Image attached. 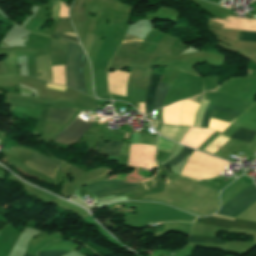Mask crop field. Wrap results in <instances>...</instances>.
I'll list each match as a JSON object with an SVG mask.
<instances>
[{"instance_id": "crop-field-10", "label": "crop field", "mask_w": 256, "mask_h": 256, "mask_svg": "<svg viewBox=\"0 0 256 256\" xmlns=\"http://www.w3.org/2000/svg\"><path fill=\"white\" fill-rule=\"evenodd\" d=\"M121 144L119 142H110V143H105L104 140L100 142V144L95 148L94 151L107 154V155H112V156H117L119 157V152L121 148Z\"/></svg>"}, {"instance_id": "crop-field-3", "label": "crop field", "mask_w": 256, "mask_h": 256, "mask_svg": "<svg viewBox=\"0 0 256 256\" xmlns=\"http://www.w3.org/2000/svg\"><path fill=\"white\" fill-rule=\"evenodd\" d=\"M25 163L27 167L55 179L56 169L62 162L44 157L34 152Z\"/></svg>"}, {"instance_id": "crop-field-5", "label": "crop field", "mask_w": 256, "mask_h": 256, "mask_svg": "<svg viewBox=\"0 0 256 256\" xmlns=\"http://www.w3.org/2000/svg\"><path fill=\"white\" fill-rule=\"evenodd\" d=\"M80 50H81L80 45L69 42V50H68L67 61H66V83L68 86L78 91L79 89H78V83L76 78V64L80 54Z\"/></svg>"}, {"instance_id": "crop-field-6", "label": "crop field", "mask_w": 256, "mask_h": 256, "mask_svg": "<svg viewBox=\"0 0 256 256\" xmlns=\"http://www.w3.org/2000/svg\"><path fill=\"white\" fill-rule=\"evenodd\" d=\"M213 217H219V218L233 220L232 218L221 217V216H216V215H213ZM196 222L202 223V224H207V225H212V226H217V227H222V228H227V229H229L230 226L256 229V223L237 220V219H235L234 221H230V220H224V219H218V218H212V217H205V218H198Z\"/></svg>"}, {"instance_id": "crop-field-14", "label": "crop field", "mask_w": 256, "mask_h": 256, "mask_svg": "<svg viewBox=\"0 0 256 256\" xmlns=\"http://www.w3.org/2000/svg\"><path fill=\"white\" fill-rule=\"evenodd\" d=\"M213 109L233 113V114H236L238 116L241 115V113H238V112H234V111H230V110H226V109L218 108L216 106L209 105L205 114H204V116H203V118H202V126L201 127H204V128L208 127V123H209V120H210Z\"/></svg>"}, {"instance_id": "crop-field-12", "label": "crop field", "mask_w": 256, "mask_h": 256, "mask_svg": "<svg viewBox=\"0 0 256 256\" xmlns=\"http://www.w3.org/2000/svg\"><path fill=\"white\" fill-rule=\"evenodd\" d=\"M170 85L161 83L159 84V88L156 92V99H155V103H154V109L161 107V104L163 102V99L167 93V91L169 90Z\"/></svg>"}, {"instance_id": "crop-field-16", "label": "crop field", "mask_w": 256, "mask_h": 256, "mask_svg": "<svg viewBox=\"0 0 256 256\" xmlns=\"http://www.w3.org/2000/svg\"><path fill=\"white\" fill-rule=\"evenodd\" d=\"M252 132L251 131H246V130H241V129H236L233 128L231 132L228 134V136H232L235 138L243 139V140H249Z\"/></svg>"}, {"instance_id": "crop-field-4", "label": "crop field", "mask_w": 256, "mask_h": 256, "mask_svg": "<svg viewBox=\"0 0 256 256\" xmlns=\"http://www.w3.org/2000/svg\"><path fill=\"white\" fill-rule=\"evenodd\" d=\"M94 122H85L80 118L73 121L63 132L55 139V142L64 144H74L80 136L86 132Z\"/></svg>"}, {"instance_id": "crop-field-17", "label": "crop field", "mask_w": 256, "mask_h": 256, "mask_svg": "<svg viewBox=\"0 0 256 256\" xmlns=\"http://www.w3.org/2000/svg\"><path fill=\"white\" fill-rule=\"evenodd\" d=\"M239 40L242 41H255L256 42V32H245L242 31Z\"/></svg>"}, {"instance_id": "crop-field-22", "label": "crop field", "mask_w": 256, "mask_h": 256, "mask_svg": "<svg viewBox=\"0 0 256 256\" xmlns=\"http://www.w3.org/2000/svg\"><path fill=\"white\" fill-rule=\"evenodd\" d=\"M24 256H30V255H28V254H26V253H25V255H24Z\"/></svg>"}, {"instance_id": "crop-field-1", "label": "crop field", "mask_w": 256, "mask_h": 256, "mask_svg": "<svg viewBox=\"0 0 256 256\" xmlns=\"http://www.w3.org/2000/svg\"><path fill=\"white\" fill-rule=\"evenodd\" d=\"M256 202V188L254 184L241 192L233 200L227 203L216 214L236 217Z\"/></svg>"}, {"instance_id": "crop-field-18", "label": "crop field", "mask_w": 256, "mask_h": 256, "mask_svg": "<svg viewBox=\"0 0 256 256\" xmlns=\"http://www.w3.org/2000/svg\"><path fill=\"white\" fill-rule=\"evenodd\" d=\"M142 42V40H138L136 39V37L134 36H125L124 41L122 42L123 44H128V45H135V46H139L140 43Z\"/></svg>"}, {"instance_id": "crop-field-9", "label": "crop field", "mask_w": 256, "mask_h": 256, "mask_svg": "<svg viewBox=\"0 0 256 256\" xmlns=\"http://www.w3.org/2000/svg\"><path fill=\"white\" fill-rule=\"evenodd\" d=\"M151 169L136 168L131 176L107 177L106 179L140 182L150 178Z\"/></svg>"}, {"instance_id": "crop-field-23", "label": "crop field", "mask_w": 256, "mask_h": 256, "mask_svg": "<svg viewBox=\"0 0 256 256\" xmlns=\"http://www.w3.org/2000/svg\"><path fill=\"white\" fill-rule=\"evenodd\" d=\"M127 135H128V133L126 132V135H125L126 138H127Z\"/></svg>"}, {"instance_id": "crop-field-2", "label": "crop field", "mask_w": 256, "mask_h": 256, "mask_svg": "<svg viewBox=\"0 0 256 256\" xmlns=\"http://www.w3.org/2000/svg\"><path fill=\"white\" fill-rule=\"evenodd\" d=\"M139 185L140 183L130 184L118 181H102L87 187L97 198H100L134 191Z\"/></svg>"}, {"instance_id": "crop-field-21", "label": "crop field", "mask_w": 256, "mask_h": 256, "mask_svg": "<svg viewBox=\"0 0 256 256\" xmlns=\"http://www.w3.org/2000/svg\"><path fill=\"white\" fill-rule=\"evenodd\" d=\"M151 124L154 126V128L157 130V132H159L160 127H161L162 124L154 123V122H151Z\"/></svg>"}, {"instance_id": "crop-field-15", "label": "crop field", "mask_w": 256, "mask_h": 256, "mask_svg": "<svg viewBox=\"0 0 256 256\" xmlns=\"http://www.w3.org/2000/svg\"><path fill=\"white\" fill-rule=\"evenodd\" d=\"M189 242L224 245L223 240H221L219 238H210V237L190 236Z\"/></svg>"}, {"instance_id": "crop-field-11", "label": "crop field", "mask_w": 256, "mask_h": 256, "mask_svg": "<svg viewBox=\"0 0 256 256\" xmlns=\"http://www.w3.org/2000/svg\"><path fill=\"white\" fill-rule=\"evenodd\" d=\"M85 59H86V57H85L83 51H81L80 58L78 61L77 77H78L80 91L87 94L85 83H84V77H83V67H84Z\"/></svg>"}, {"instance_id": "crop-field-7", "label": "crop field", "mask_w": 256, "mask_h": 256, "mask_svg": "<svg viewBox=\"0 0 256 256\" xmlns=\"http://www.w3.org/2000/svg\"><path fill=\"white\" fill-rule=\"evenodd\" d=\"M74 112H75L74 109L51 108L49 111L47 121L64 126L71 119Z\"/></svg>"}, {"instance_id": "crop-field-20", "label": "crop field", "mask_w": 256, "mask_h": 256, "mask_svg": "<svg viewBox=\"0 0 256 256\" xmlns=\"http://www.w3.org/2000/svg\"><path fill=\"white\" fill-rule=\"evenodd\" d=\"M67 35H70V36H73V37H76V35H73V34H69V33H66ZM67 35H64V34H60V35H53V36H57V37H61V38H65V39H68V40H71L73 42H78V40L76 38H73V37H70V36H67ZM56 37V38H57ZM79 43V42H78Z\"/></svg>"}, {"instance_id": "crop-field-8", "label": "crop field", "mask_w": 256, "mask_h": 256, "mask_svg": "<svg viewBox=\"0 0 256 256\" xmlns=\"http://www.w3.org/2000/svg\"><path fill=\"white\" fill-rule=\"evenodd\" d=\"M160 79H161V77L156 76V75H151V77H150L147 95H146V102H145L146 114L153 111L155 92L158 88Z\"/></svg>"}, {"instance_id": "crop-field-19", "label": "crop field", "mask_w": 256, "mask_h": 256, "mask_svg": "<svg viewBox=\"0 0 256 256\" xmlns=\"http://www.w3.org/2000/svg\"><path fill=\"white\" fill-rule=\"evenodd\" d=\"M67 253L68 252H65V251H47V252L38 253L37 256H62Z\"/></svg>"}, {"instance_id": "crop-field-13", "label": "crop field", "mask_w": 256, "mask_h": 256, "mask_svg": "<svg viewBox=\"0 0 256 256\" xmlns=\"http://www.w3.org/2000/svg\"><path fill=\"white\" fill-rule=\"evenodd\" d=\"M192 152L193 150L183 147L182 151L175 158L163 164L162 167L165 168L167 172H170L167 167L178 164L183 158L186 157L187 154L191 155Z\"/></svg>"}]
</instances>
